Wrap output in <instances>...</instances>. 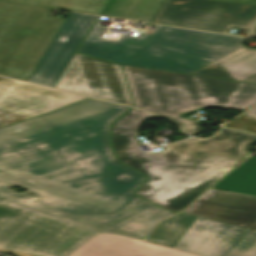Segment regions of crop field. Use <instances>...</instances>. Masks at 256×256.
Listing matches in <instances>:
<instances>
[{"instance_id": "crop-field-7", "label": "crop field", "mask_w": 256, "mask_h": 256, "mask_svg": "<svg viewBox=\"0 0 256 256\" xmlns=\"http://www.w3.org/2000/svg\"><path fill=\"white\" fill-rule=\"evenodd\" d=\"M256 4L216 0H165L152 22L228 34L231 27L250 29Z\"/></svg>"}, {"instance_id": "crop-field-18", "label": "crop field", "mask_w": 256, "mask_h": 256, "mask_svg": "<svg viewBox=\"0 0 256 256\" xmlns=\"http://www.w3.org/2000/svg\"><path fill=\"white\" fill-rule=\"evenodd\" d=\"M99 14L107 0H5Z\"/></svg>"}, {"instance_id": "crop-field-11", "label": "crop field", "mask_w": 256, "mask_h": 256, "mask_svg": "<svg viewBox=\"0 0 256 256\" xmlns=\"http://www.w3.org/2000/svg\"><path fill=\"white\" fill-rule=\"evenodd\" d=\"M184 213L248 229L256 223V197L210 189Z\"/></svg>"}, {"instance_id": "crop-field-9", "label": "crop field", "mask_w": 256, "mask_h": 256, "mask_svg": "<svg viewBox=\"0 0 256 256\" xmlns=\"http://www.w3.org/2000/svg\"><path fill=\"white\" fill-rule=\"evenodd\" d=\"M84 98L0 77V127L62 108Z\"/></svg>"}, {"instance_id": "crop-field-1", "label": "crop field", "mask_w": 256, "mask_h": 256, "mask_svg": "<svg viewBox=\"0 0 256 256\" xmlns=\"http://www.w3.org/2000/svg\"><path fill=\"white\" fill-rule=\"evenodd\" d=\"M129 109L87 98L0 128V198L100 232L147 235L174 214L132 194L146 177L109 148L111 122Z\"/></svg>"}, {"instance_id": "crop-field-17", "label": "crop field", "mask_w": 256, "mask_h": 256, "mask_svg": "<svg viewBox=\"0 0 256 256\" xmlns=\"http://www.w3.org/2000/svg\"><path fill=\"white\" fill-rule=\"evenodd\" d=\"M196 218L184 213L174 216L160 223L147 240L173 247Z\"/></svg>"}, {"instance_id": "crop-field-16", "label": "crop field", "mask_w": 256, "mask_h": 256, "mask_svg": "<svg viewBox=\"0 0 256 256\" xmlns=\"http://www.w3.org/2000/svg\"><path fill=\"white\" fill-rule=\"evenodd\" d=\"M213 187L256 196V157L246 159Z\"/></svg>"}, {"instance_id": "crop-field-21", "label": "crop field", "mask_w": 256, "mask_h": 256, "mask_svg": "<svg viewBox=\"0 0 256 256\" xmlns=\"http://www.w3.org/2000/svg\"><path fill=\"white\" fill-rule=\"evenodd\" d=\"M154 113H156V112H154ZM157 114L167 116L170 119L174 120L175 122L179 123L182 126L183 130H185L190 135L195 134V132L197 131V129L201 125V123H199L197 121L188 120V119H184V118H180V117H176V116H171V115H166V114H161V113H157Z\"/></svg>"}, {"instance_id": "crop-field-14", "label": "crop field", "mask_w": 256, "mask_h": 256, "mask_svg": "<svg viewBox=\"0 0 256 256\" xmlns=\"http://www.w3.org/2000/svg\"><path fill=\"white\" fill-rule=\"evenodd\" d=\"M192 74L256 83V49L245 46Z\"/></svg>"}, {"instance_id": "crop-field-6", "label": "crop field", "mask_w": 256, "mask_h": 256, "mask_svg": "<svg viewBox=\"0 0 256 256\" xmlns=\"http://www.w3.org/2000/svg\"><path fill=\"white\" fill-rule=\"evenodd\" d=\"M49 12L0 1V75L27 81L64 21Z\"/></svg>"}, {"instance_id": "crop-field-13", "label": "crop field", "mask_w": 256, "mask_h": 256, "mask_svg": "<svg viewBox=\"0 0 256 256\" xmlns=\"http://www.w3.org/2000/svg\"><path fill=\"white\" fill-rule=\"evenodd\" d=\"M70 256H197L124 236L100 234Z\"/></svg>"}, {"instance_id": "crop-field-15", "label": "crop field", "mask_w": 256, "mask_h": 256, "mask_svg": "<svg viewBox=\"0 0 256 256\" xmlns=\"http://www.w3.org/2000/svg\"><path fill=\"white\" fill-rule=\"evenodd\" d=\"M162 0H110L102 14L150 22Z\"/></svg>"}, {"instance_id": "crop-field-5", "label": "crop field", "mask_w": 256, "mask_h": 256, "mask_svg": "<svg viewBox=\"0 0 256 256\" xmlns=\"http://www.w3.org/2000/svg\"><path fill=\"white\" fill-rule=\"evenodd\" d=\"M98 231L0 199V251L66 256Z\"/></svg>"}, {"instance_id": "crop-field-22", "label": "crop field", "mask_w": 256, "mask_h": 256, "mask_svg": "<svg viewBox=\"0 0 256 256\" xmlns=\"http://www.w3.org/2000/svg\"><path fill=\"white\" fill-rule=\"evenodd\" d=\"M245 115H248V116L253 117V118L256 119V107L253 108L252 110L246 112Z\"/></svg>"}, {"instance_id": "crop-field-23", "label": "crop field", "mask_w": 256, "mask_h": 256, "mask_svg": "<svg viewBox=\"0 0 256 256\" xmlns=\"http://www.w3.org/2000/svg\"><path fill=\"white\" fill-rule=\"evenodd\" d=\"M227 1H241V2H253V3H256V0H227Z\"/></svg>"}, {"instance_id": "crop-field-20", "label": "crop field", "mask_w": 256, "mask_h": 256, "mask_svg": "<svg viewBox=\"0 0 256 256\" xmlns=\"http://www.w3.org/2000/svg\"><path fill=\"white\" fill-rule=\"evenodd\" d=\"M224 126L256 133V120L244 115L238 117L233 122L225 124Z\"/></svg>"}, {"instance_id": "crop-field-19", "label": "crop field", "mask_w": 256, "mask_h": 256, "mask_svg": "<svg viewBox=\"0 0 256 256\" xmlns=\"http://www.w3.org/2000/svg\"><path fill=\"white\" fill-rule=\"evenodd\" d=\"M222 256H256V232L247 230Z\"/></svg>"}, {"instance_id": "crop-field-24", "label": "crop field", "mask_w": 256, "mask_h": 256, "mask_svg": "<svg viewBox=\"0 0 256 256\" xmlns=\"http://www.w3.org/2000/svg\"><path fill=\"white\" fill-rule=\"evenodd\" d=\"M250 36H256V25L254 26L253 30L251 31Z\"/></svg>"}, {"instance_id": "crop-field-10", "label": "crop field", "mask_w": 256, "mask_h": 256, "mask_svg": "<svg viewBox=\"0 0 256 256\" xmlns=\"http://www.w3.org/2000/svg\"><path fill=\"white\" fill-rule=\"evenodd\" d=\"M95 18L70 12L28 82L55 87Z\"/></svg>"}, {"instance_id": "crop-field-4", "label": "crop field", "mask_w": 256, "mask_h": 256, "mask_svg": "<svg viewBox=\"0 0 256 256\" xmlns=\"http://www.w3.org/2000/svg\"><path fill=\"white\" fill-rule=\"evenodd\" d=\"M135 106L179 116L201 108L244 110L256 103V85L122 65Z\"/></svg>"}, {"instance_id": "crop-field-8", "label": "crop field", "mask_w": 256, "mask_h": 256, "mask_svg": "<svg viewBox=\"0 0 256 256\" xmlns=\"http://www.w3.org/2000/svg\"><path fill=\"white\" fill-rule=\"evenodd\" d=\"M56 88L132 106L120 65L77 53Z\"/></svg>"}, {"instance_id": "crop-field-12", "label": "crop field", "mask_w": 256, "mask_h": 256, "mask_svg": "<svg viewBox=\"0 0 256 256\" xmlns=\"http://www.w3.org/2000/svg\"><path fill=\"white\" fill-rule=\"evenodd\" d=\"M246 230L197 218L173 248L201 256H221Z\"/></svg>"}, {"instance_id": "crop-field-2", "label": "crop field", "mask_w": 256, "mask_h": 256, "mask_svg": "<svg viewBox=\"0 0 256 256\" xmlns=\"http://www.w3.org/2000/svg\"><path fill=\"white\" fill-rule=\"evenodd\" d=\"M156 117L130 111L113 124L112 143L118 159L150 177L136 193L170 211H180L195 200L256 142V135L223 128L213 138H190L163 153L139 152L138 128L145 119Z\"/></svg>"}, {"instance_id": "crop-field-25", "label": "crop field", "mask_w": 256, "mask_h": 256, "mask_svg": "<svg viewBox=\"0 0 256 256\" xmlns=\"http://www.w3.org/2000/svg\"><path fill=\"white\" fill-rule=\"evenodd\" d=\"M203 130H204V129H202L201 126H200V128L198 129V131L196 132V134L202 132Z\"/></svg>"}, {"instance_id": "crop-field-3", "label": "crop field", "mask_w": 256, "mask_h": 256, "mask_svg": "<svg viewBox=\"0 0 256 256\" xmlns=\"http://www.w3.org/2000/svg\"><path fill=\"white\" fill-rule=\"evenodd\" d=\"M99 17L78 52L122 64L189 74L241 47L245 39L157 25L128 37L108 33Z\"/></svg>"}]
</instances>
